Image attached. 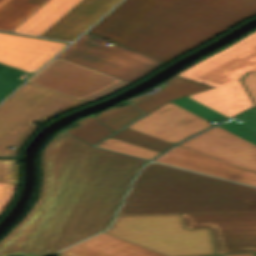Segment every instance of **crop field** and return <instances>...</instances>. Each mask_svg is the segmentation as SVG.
<instances>
[{
	"label": "crop field",
	"instance_id": "crop-field-1",
	"mask_svg": "<svg viewBox=\"0 0 256 256\" xmlns=\"http://www.w3.org/2000/svg\"><path fill=\"white\" fill-rule=\"evenodd\" d=\"M90 146L59 132L45 147L40 197L0 240V256H48L109 225L147 161Z\"/></svg>",
	"mask_w": 256,
	"mask_h": 256
},
{
	"label": "crop field",
	"instance_id": "crop-field-2",
	"mask_svg": "<svg viewBox=\"0 0 256 256\" xmlns=\"http://www.w3.org/2000/svg\"><path fill=\"white\" fill-rule=\"evenodd\" d=\"M255 13L256 0H125L89 32L165 63Z\"/></svg>",
	"mask_w": 256,
	"mask_h": 256
},
{
	"label": "crop field",
	"instance_id": "crop-field-3",
	"mask_svg": "<svg viewBox=\"0 0 256 256\" xmlns=\"http://www.w3.org/2000/svg\"><path fill=\"white\" fill-rule=\"evenodd\" d=\"M256 212V189L151 163L118 214Z\"/></svg>",
	"mask_w": 256,
	"mask_h": 256
},
{
	"label": "crop field",
	"instance_id": "crop-field-4",
	"mask_svg": "<svg viewBox=\"0 0 256 256\" xmlns=\"http://www.w3.org/2000/svg\"><path fill=\"white\" fill-rule=\"evenodd\" d=\"M256 71V32L177 74L216 88L189 98L230 118L255 106L239 78Z\"/></svg>",
	"mask_w": 256,
	"mask_h": 256
},
{
	"label": "crop field",
	"instance_id": "crop-field-5",
	"mask_svg": "<svg viewBox=\"0 0 256 256\" xmlns=\"http://www.w3.org/2000/svg\"><path fill=\"white\" fill-rule=\"evenodd\" d=\"M105 232L169 256L217 254L210 229L185 230L181 214L117 215Z\"/></svg>",
	"mask_w": 256,
	"mask_h": 256
},
{
	"label": "crop field",
	"instance_id": "crop-field-6",
	"mask_svg": "<svg viewBox=\"0 0 256 256\" xmlns=\"http://www.w3.org/2000/svg\"><path fill=\"white\" fill-rule=\"evenodd\" d=\"M88 102L37 85L25 84L0 106V157H17L18 149L51 117ZM9 146L14 149H7Z\"/></svg>",
	"mask_w": 256,
	"mask_h": 256
},
{
	"label": "crop field",
	"instance_id": "crop-field-7",
	"mask_svg": "<svg viewBox=\"0 0 256 256\" xmlns=\"http://www.w3.org/2000/svg\"><path fill=\"white\" fill-rule=\"evenodd\" d=\"M109 42L87 32L57 57L129 83L163 64Z\"/></svg>",
	"mask_w": 256,
	"mask_h": 256
},
{
	"label": "crop field",
	"instance_id": "crop-field-8",
	"mask_svg": "<svg viewBox=\"0 0 256 256\" xmlns=\"http://www.w3.org/2000/svg\"><path fill=\"white\" fill-rule=\"evenodd\" d=\"M29 83L91 102L129 84L56 58Z\"/></svg>",
	"mask_w": 256,
	"mask_h": 256
},
{
	"label": "crop field",
	"instance_id": "crop-field-9",
	"mask_svg": "<svg viewBox=\"0 0 256 256\" xmlns=\"http://www.w3.org/2000/svg\"><path fill=\"white\" fill-rule=\"evenodd\" d=\"M182 215L186 229L210 227L218 254L256 252V213Z\"/></svg>",
	"mask_w": 256,
	"mask_h": 256
},
{
	"label": "crop field",
	"instance_id": "crop-field-10",
	"mask_svg": "<svg viewBox=\"0 0 256 256\" xmlns=\"http://www.w3.org/2000/svg\"><path fill=\"white\" fill-rule=\"evenodd\" d=\"M211 125L213 124L168 102L128 128L175 144Z\"/></svg>",
	"mask_w": 256,
	"mask_h": 256
},
{
	"label": "crop field",
	"instance_id": "crop-field-11",
	"mask_svg": "<svg viewBox=\"0 0 256 256\" xmlns=\"http://www.w3.org/2000/svg\"><path fill=\"white\" fill-rule=\"evenodd\" d=\"M179 146L256 172V145L216 126Z\"/></svg>",
	"mask_w": 256,
	"mask_h": 256
},
{
	"label": "crop field",
	"instance_id": "crop-field-12",
	"mask_svg": "<svg viewBox=\"0 0 256 256\" xmlns=\"http://www.w3.org/2000/svg\"><path fill=\"white\" fill-rule=\"evenodd\" d=\"M67 45L0 33V62L35 73Z\"/></svg>",
	"mask_w": 256,
	"mask_h": 256
},
{
	"label": "crop field",
	"instance_id": "crop-field-13",
	"mask_svg": "<svg viewBox=\"0 0 256 256\" xmlns=\"http://www.w3.org/2000/svg\"><path fill=\"white\" fill-rule=\"evenodd\" d=\"M155 161L256 186L255 172L179 146Z\"/></svg>",
	"mask_w": 256,
	"mask_h": 256
},
{
	"label": "crop field",
	"instance_id": "crop-field-14",
	"mask_svg": "<svg viewBox=\"0 0 256 256\" xmlns=\"http://www.w3.org/2000/svg\"><path fill=\"white\" fill-rule=\"evenodd\" d=\"M118 1L120 0H83L40 36L73 40L93 25Z\"/></svg>",
	"mask_w": 256,
	"mask_h": 256
},
{
	"label": "crop field",
	"instance_id": "crop-field-15",
	"mask_svg": "<svg viewBox=\"0 0 256 256\" xmlns=\"http://www.w3.org/2000/svg\"><path fill=\"white\" fill-rule=\"evenodd\" d=\"M58 256H167L105 232L77 243Z\"/></svg>",
	"mask_w": 256,
	"mask_h": 256
},
{
	"label": "crop field",
	"instance_id": "crop-field-16",
	"mask_svg": "<svg viewBox=\"0 0 256 256\" xmlns=\"http://www.w3.org/2000/svg\"><path fill=\"white\" fill-rule=\"evenodd\" d=\"M82 0H50L12 32L39 36Z\"/></svg>",
	"mask_w": 256,
	"mask_h": 256
},
{
	"label": "crop field",
	"instance_id": "crop-field-17",
	"mask_svg": "<svg viewBox=\"0 0 256 256\" xmlns=\"http://www.w3.org/2000/svg\"><path fill=\"white\" fill-rule=\"evenodd\" d=\"M48 0H0V29L12 31Z\"/></svg>",
	"mask_w": 256,
	"mask_h": 256
},
{
	"label": "crop field",
	"instance_id": "crop-field-18",
	"mask_svg": "<svg viewBox=\"0 0 256 256\" xmlns=\"http://www.w3.org/2000/svg\"><path fill=\"white\" fill-rule=\"evenodd\" d=\"M75 123H77L78 126L73 129L65 130L66 133L91 145L113 133L91 116L82 118Z\"/></svg>",
	"mask_w": 256,
	"mask_h": 256
},
{
	"label": "crop field",
	"instance_id": "crop-field-19",
	"mask_svg": "<svg viewBox=\"0 0 256 256\" xmlns=\"http://www.w3.org/2000/svg\"><path fill=\"white\" fill-rule=\"evenodd\" d=\"M111 138L121 140L159 153L163 152L164 150L173 145L128 128L122 130L116 135L111 136Z\"/></svg>",
	"mask_w": 256,
	"mask_h": 256
},
{
	"label": "crop field",
	"instance_id": "crop-field-20",
	"mask_svg": "<svg viewBox=\"0 0 256 256\" xmlns=\"http://www.w3.org/2000/svg\"><path fill=\"white\" fill-rule=\"evenodd\" d=\"M31 75L32 73L0 64V101Z\"/></svg>",
	"mask_w": 256,
	"mask_h": 256
},
{
	"label": "crop field",
	"instance_id": "crop-field-21",
	"mask_svg": "<svg viewBox=\"0 0 256 256\" xmlns=\"http://www.w3.org/2000/svg\"><path fill=\"white\" fill-rule=\"evenodd\" d=\"M96 146L107 148V149L114 150L121 153H125L128 155L148 159V160H151L154 157L159 155V153L149 151V150H146L137 146H133L121 141H117L111 138L104 140L103 142H101Z\"/></svg>",
	"mask_w": 256,
	"mask_h": 256
},
{
	"label": "crop field",
	"instance_id": "crop-field-22",
	"mask_svg": "<svg viewBox=\"0 0 256 256\" xmlns=\"http://www.w3.org/2000/svg\"><path fill=\"white\" fill-rule=\"evenodd\" d=\"M242 121L241 123L237 122ZM254 137H256V108L226 122Z\"/></svg>",
	"mask_w": 256,
	"mask_h": 256
},
{
	"label": "crop field",
	"instance_id": "crop-field-23",
	"mask_svg": "<svg viewBox=\"0 0 256 256\" xmlns=\"http://www.w3.org/2000/svg\"><path fill=\"white\" fill-rule=\"evenodd\" d=\"M130 102L143 110L146 114L165 104L166 100L161 99L152 94H144L136 98L130 99Z\"/></svg>",
	"mask_w": 256,
	"mask_h": 256
},
{
	"label": "crop field",
	"instance_id": "crop-field-24",
	"mask_svg": "<svg viewBox=\"0 0 256 256\" xmlns=\"http://www.w3.org/2000/svg\"><path fill=\"white\" fill-rule=\"evenodd\" d=\"M17 160L0 159V182L16 184Z\"/></svg>",
	"mask_w": 256,
	"mask_h": 256
},
{
	"label": "crop field",
	"instance_id": "crop-field-25",
	"mask_svg": "<svg viewBox=\"0 0 256 256\" xmlns=\"http://www.w3.org/2000/svg\"><path fill=\"white\" fill-rule=\"evenodd\" d=\"M114 132L127 125L112 109H108L94 117Z\"/></svg>",
	"mask_w": 256,
	"mask_h": 256
},
{
	"label": "crop field",
	"instance_id": "crop-field-26",
	"mask_svg": "<svg viewBox=\"0 0 256 256\" xmlns=\"http://www.w3.org/2000/svg\"><path fill=\"white\" fill-rule=\"evenodd\" d=\"M164 83H168V85L195 91V92H200V91H204V90H207L210 88H214V87H210V86H207L204 84H200V83L186 80V79L176 77V76L172 77L171 79H169L168 81H166ZM164 83H162V84H164Z\"/></svg>",
	"mask_w": 256,
	"mask_h": 256
},
{
	"label": "crop field",
	"instance_id": "crop-field-27",
	"mask_svg": "<svg viewBox=\"0 0 256 256\" xmlns=\"http://www.w3.org/2000/svg\"><path fill=\"white\" fill-rule=\"evenodd\" d=\"M113 110L128 124L135 120L139 116L143 115L130 103L123 105L121 107H115Z\"/></svg>",
	"mask_w": 256,
	"mask_h": 256
},
{
	"label": "crop field",
	"instance_id": "crop-field-28",
	"mask_svg": "<svg viewBox=\"0 0 256 256\" xmlns=\"http://www.w3.org/2000/svg\"><path fill=\"white\" fill-rule=\"evenodd\" d=\"M16 185L0 183V213L9 202Z\"/></svg>",
	"mask_w": 256,
	"mask_h": 256
},
{
	"label": "crop field",
	"instance_id": "crop-field-29",
	"mask_svg": "<svg viewBox=\"0 0 256 256\" xmlns=\"http://www.w3.org/2000/svg\"><path fill=\"white\" fill-rule=\"evenodd\" d=\"M242 81L256 102V72H249Z\"/></svg>",
	"mask_w": 256,
	"mask_h": 256
},
{
	"label": "crop field",
	"instance_id": "crop-field-30",
	"mask_svg": "<svg viewBox=\"0 0 256 256\" xmlns=\"http://www.w3.org/2000/svg\"><path fill=\"white\" fill-rule=\"evenodd\" d=\"M171 102L180 106V107H182V108H184V109H186V110H188V111H190V112H192V113H194V114H196V115H198V116H200V117H202V118H204V119H206V120H208V121H210V122H213V121L217 120L216 118H214V117H212V116H210V115H208V114H206V113H204V112H202V111H200V110H198V109H196V108H194V107H192V106H190V105H188V104H186V103H184V102H182L178 99H176L174 101H171Z\"/></svg>",
	"mask_w": 256,
	"mask_h": 256
},
{
	"label": "crop field",
	"instance_id": "crop-field-31",
	"mask_svg": "<svg viewBox=\"0 0 256 256\" xmlns=\"http://www.w3.org/2000/svg\"><path fill=\"white\" fill-rule=\"evenodd\" d=\"M180 100H182V101H184V102H186V103H188V104H190V105H192V106H194V107H196V108H198V109H200V110H202V111H204V112H206V113H208V114H210V115H212V116H214L218 119L224 117L223 115H221V114H219V113H217V112H215V111H213V110H211V109H209V108H207V107H205V106H203V105H201V104H199V103H197V102H195V101H193V100H191L187 97L180 98Z\"/></svg>",
	"mask_w": 256,
	"mask_h": 256
},
{
	"label": "crop field",
	"instance_id": "crop-field-32",
	"mask_svg": "<svg viewBox=\"0 0 256 256\" xmlns=\"http://www.w3.org/2000/svg\"><path fill=\"white\" fill-rule=\"evenodd\" d=\"M219 126H221V127L225 128V129H227V130H229V131H231V132H233V133H235V134H237V135H239V136H241V137H243V138L253 142L254 144H256V139L255 138H253V137H251V136H249V135H247V134H245V133H243V132H241V131H239V130H237V129H235V128H233V127H231V126H229V125H227L225 123H223V124H221Z\"/></svg>",
	"mask_w": 256,
	"mask_h": 256
},
{
	"label": "crop field",
	"instance_id": "crop-field-33",
	"mask_svg": "<svg viewBox=\"0 0 256 256\" xmlns=\"http://www.w3.org/2000/svg\"><path fill=\"white\" fill-rule=\"evenodd\" d=\"M227 256H252V253H246V254H234V255H227Z\"/></svg>",
	"mask_w": 256,
	"mask_h": 256
},
{
	"label": "crop field",
	"instance_id": "crop-field-34",
	"mask_svg": "<svg viewBox=\"0 0 256 256\" xmlns=\"http://www.w3.org/2000/svg\"><path fill=\"white\" fill-rule=\"evenodd\" d=\"M219 256H224V255H219Z\"/></svg>",
	"mask_w": 256,
	"mask_h": 256
}]
</instances>
